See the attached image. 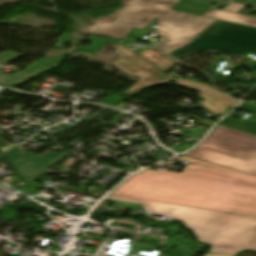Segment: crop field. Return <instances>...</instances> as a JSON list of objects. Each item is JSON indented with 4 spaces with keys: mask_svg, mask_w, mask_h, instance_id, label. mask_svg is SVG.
Segmentation results:
<instances>
[{
    "mask_svg": "<svg viewBox=\"0 0 256 256\" xmlns=\"http://www.w3.org/2000/svg\"><path fill=\"white\" fill-rule=\"evenodd\" d=\"M186 156L256 176V137L225 127L212 131Z\"/></svg>",
    "mask_w": 256,
    "mask_h": 256,
    "instance_id": "4",
    "label": "crop field"
},
{
    "mask_svg": "<svg viewBox=\"0 0 256 256\" xmlns=\"http://www.w3.org/2000/svg\"><path fill=\"white\" fill-rule=\"evenodd\" d=\"M178 0H129L126 7L113 23H96L88 34H98L124 38L131 27L144 28L151 18L159 16L166 8Z\"/></svg>",
    "mask_w": 256,
    "mask_h": 256,
    "instance_id": "6",
    "label": "crop field"
},
{
    "mask_svg": "<svg viewBox=\"0 0 256 256\" xmlns=\"http://www.w3.org/2000/svg\"><path fill=\"white\" fill-rule=\"evenodd\" d=\"M182 1H186V2H191V3H196V4L208 6L212 2H214L215 0H182Z\"/></svg>",
    "mask_w": 256,
    "mask_h": 256,
    "instance_id": "20",
    "label": "crop field"
},
{
    "mask_svg": "<svg viewBox=\"0 0 256 256\" xmlns=\"http://www.w3.org/2000/svg\"><path fill=\"white\" fill-rule=\"evenodd\" d=\"M207 49L240 57L256 54V27L215 19L187 45L169 54L178 59Z\"/></svg>",
    "mask_w": 256,
    "mask_h": 256,
    "instance_id": "5",
    "label": "crop field"
},
{
    "mask_svg": "<svg viewBox=\"0 0 256 256\" xmlns=\"http://www.w3.org/2000/svg\"><path fill=\"white\" fill-rule=\"evenodd\" d=\"M124 98H120V97H117V96H111L107 99H105L104 101H102L104 104H109V105H112L120 100H123Z\"/></svg>",
    "mask_w": 256,
    "mask_h": 256,
    "instance_id": "21",
    "label": "crop field"
},
{
    "mask_svg": "<svg viewBox=\"0 0 256 256\" xmlns=\"http://www.w3.org/2000/svg\"><path fill=\"white\" fill-rule=\"evenodd\" d=\"M21 146L6 153V157L23 180L38 179L50 166L63 155L53 152H45L41 156L23 152Z\"/></svg>",
    "mask_w": 256,
    "mask_h": 256,
    "instance_id": "8",
    "label": "crop field"
},
{
    "mask_svg": "<svg viewBox=\"0 0 256 256\" xmlns=\"http://www.w3.org/2000/svg\"><path fill=\"white\" fill-rule=\"evenodd\" d=\"M108 198L141 203L148 211L183 221L197 235V240L212 246L209 252L229 255L243 249L256 252L255 218L114 195Z\"/></svg>",
    "mask_w": 256,
    "mask_h": 256,
    "instance_id": "2",
    "label": "crop field"
},
{
    "mask_svg": "<svg viewBox=\"0 0 256 256\" xmlns=\"http://www.w3.org/2000/svg\"><path fill=\"white\" fill-rule=\"evenodd\" d=\"M173 9L188 12V13L198 14V15H201L203 12L209 10V8H205V7H201V6H197V5H193V4H189L181 1H179L173 7Z\"/></svg>",
    "mask_w": 256,
    "mask_h": 256,
    "instance_id": "14",
    "label": "crop field"
},
{
    "mask_svg": "<svg viewBox=\"0 0 256 256\" xmlns=\"http://www.w3.org/2000/svg\"><path fill=\"white\" fill-rule=\"evenodd\" d=\"M237 110L252 113L247 119L256 120V106L242 103Z\"/></svg>",
    "mask_w": 256,
    "mask_h": 256,
    "instance_id": "16",
    "label": "crop field"
},
{
    "mask_svg": "<svg viewBox=\"0 0 256 256\" xmlns=\"http://www.w3.org/2000/svg\"><path fill=\"white\" fill-rule=\"evenodd\" d=\"M66 42L71 43L70 33L64 32L63 35L58 38V41L54 48L64 49Z\"/></svg>",
    "mask_w": 256,
    "mask_h": 256,
    "instance_id": "17",
    "label": "crop field"
},
{
    "mask_svg": "<svg viewBox=\"0 0 256 256\" xmlns=\"http://www.w3.org/2000/svg\"><path fill=\"white\" fill-rule=\"evenodd\" d=\"M204 16L256 26V18L239 15V14H235V13H230V12H225V11H221V10H216V9H213V10L205 13Z\"/></svg>",
    "mask_w": 256,
    "mask_h": 256,
    "instance_id": "10",
    "label": "crop field"
},
{
    "mask_svg": "<svg viewBox=\"0 0 256 256\" xmlns=\"http://www.w3.org/2000/svg\"><path fill=\"white\" fill-rule=\"evenodd\" d=\"M206 256H228V255H220V254L207 253Z\"/></svg>",
    "mask_w": 256,
    "mask_h": 256,
    "instance_id": "22",
    "label": "crop field"
},
{
    "mask_svg": "<svg viewBox=\"0 0 256 256\" xmlns=\"http://www.w3.org/2000/svg\"><path fill=\"white\" fill-rule=\"evenodd\" d=\"M138 55L162 71L170 70V68L176 63V61H174L156 48Z\"/></svg>",
    "mask_w": 256,
    "mask_h": 256,
    "instance_id": "9",
    "label": "crop field"
},
{
    "mask_svg": "<svg viewBox=\"0 0 256 256\" xmlns=\"http://www.w3.org/2000/svg\"><path fill=\"white\" fill-rule=\"evenodd\" d=\"M220 124H224L256 134V122H250L245 120L239 121L231 118H225Z\"/></svg>",
    "mask_w": 256,
    "mask_h": 256,
    "instance_id": "13",
    "label": "crop field"
},
{
    "mask_svg": "<svg viewBox=\"0 0 256 256\" xmlns=\"http://www.w3.org/2000/svg\"><path fill=\"white\" fill-rule=\"evenodd\" d=\"M182 173L147 169L126 180L112 194L256 217V177L180 156Z\"/></svg>",
    "mask_w": 256,
    "mask_h": 256,
    "instance_id": "1",
    "label": "crop field"
},
{
    "mask_svg": "<svg viewBox=\"0 0 256 256\" xmlns=\"http://www.w3.org/2000/svg\"><path fill=\"white\" fill-rule=\"evenodd\" d=\"M89 38L92 41V44L88 47H78V50L84 51V52L94 53L96 50L101 48V45H102L103 42H107V41L116 42V41H118L116 39H108V38L93 37V36H90ZM71 46H73V45H71ZM73 47H76V46H73ZM72 53H74V52H72Z\"/></svg>",
    "mask_w": 256,
    "mask_h": 256,
    "instance_id": "15",
    "label": "crop field"
},
{
    "mask_svg": "<svg viewBox=\"0 0 256 256\" xmlns=\"http://www.w3.org/2000/svg\"><path fill=\"white\" fill-rule=\"evenodd\" d=\"M219 125H220V124H218V125L216 126V128H217ZM221 126H224V125H221ZM225 127H227V126H225ZM216 128H215V129H216ZM228 128H231V127H228ZM215 129H214V130H215ZM232 129H234V128H232ZM235 130H237V129H235ZM238 131H241V130H238ZM242 132H244V131H242ZM245 133H248V132H245ZM249 134H251V133H249ZM252 135H255V134H252Z\"/></svg>",
    "mask_w": 256,
    "mask_h": 256,
    "instance_id": "23",
    "label": "crop field"
},
{
    "mask_svg": "<svg viewBox=\"0 0 256 256\" xmlns=\"http://www.w3.org/2000/svg\"><path fill=\"white\" fill-rule=\"evenodd\" d=\"M18 55L19 54H15V53L6 51V52L0 54V62L6 63Z\"/></svg>",
    "mask_w": 256,
    "mask_h": 256,
    "instance_id": "18",
    "label": "crop field"
},
{
    "mask_svg": "<svg viewBox=\"0 0 256 256\" xmlns=\"http://www.w3.org/2000/svg\"><path fill=\"white\" fill-rule=\"evenodd\" d=\"M39 75V73L24 70L14 75H2L0 74V85L13 87L18 84L24 83L32 77Z\"/></svg>",
    "mask_w": 256,
    "mask_h": 256,
    "instance_id": "11",
    "label": "crop field"
},
{
    "mask_svg": "<svg viewBox=\"0 0 256 256\" xmlns=\"http://www.w3.org/2000/svg\"><path fill=\"white\" fill-rule=\"evenodd\" d=\"M158 21L161 38L154 44L169 53L187 44L213 20L167 10Z\"/></svg>",
    "mask_w": 256,
    "mask_h": 256,
    "instance_id": "7",
    "label": "crop field"
},
{
    "mask_svg": "<svg viewBox=\"0 0 256 256\" xmlns=\"http://www.w3.org/2000/svg\"><path fill=\"white\" fill-rule=\"evenodd\" d=\"M243 7H244L243 5L231 3V4H230L227 8H225L224 10L239 13L240 10H241Z\"/></svg>",
    "mask_w": 256,
    "mask_h": 256,
    "instance_id": "19",
    "label": "crop field"
},
{
    "mask_svg": "<svg viewBox=\"0 0 256 256\" xmlns=\"http://www.w3.org/2000/svg\"><path fill=\"white\" fill-rule=\"evenodd\" d=\"M66 55H63L58 58H49L45 57L41 60H38L32 64H30L26 69L43 73L47 70L58 67L59 64L65 59Z\"/></svg>",
    "mask_w": 256,
    "mask_h": 256,
    "instance_id": "12",
    "label": "crop field"
},
{
    "mask_svg": "<svg viewBox=\"0 0 256 256\" xmlns=\"http://www.w3.org/2000/svg\"><path fill=\"white\" fill-rule=\"evenodd\" d=\"M114 51L121 57L120 60H113L112 65L121 69L122 71L139 76L140 80L127 92L123 94L135 95L145 87L169 82L178 81L177 85L189 87L201 91L199 97L204 99L199 102L202 108L210 113L217 115H224L228 110L233 108L238 101L229 97L228 95L218 91L217 89L210 88L201 84L192 83L182 79H174L168 74L160 71L147 61L143 60L136 54L129 51L127 48L117 42Z\"/></svg>",
    "mask_w": 256,
    "mask_h": 256,
    "instance_id": "3",
    "label": "crop field"
}]
</instances>
